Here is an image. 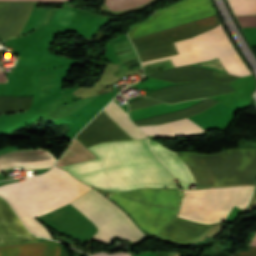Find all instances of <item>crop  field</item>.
Wrapping results in <instances>:
<instances>
[{"label":"crop field","mask_w":256,"mask_h":256,"mask_svg":"<svg viewBox=\"0 0 256 256\" xmlns=\"http://www.w3.org/2000/svg\"><path fill=\"white\" fill-rule=\"evenodd\" d=\"M88 149L98 159L83 161L62 168L76 177L108 169L161 164L150 152L146 140L107 142L96 144L88 147ZM76 178L106 190L123 191L137 187L176 188L163 165L115 169Z\"/></svg>","instance_id":"8a807250"},{"label":"crop field","mask_w":256,"mask_h":256,"mask_svg":"<svg viewBox=\"0 0 256 256\" xmlns=\"http://www.w3.org/2000/svg\"><path fill=\"white\" fill-rule=\"evenodd\" d=\"M148 141L156 157L178 179L183 189H188L189 183L196 182L197 187H204L253 184L255 181L256 149H229L212 154L178 152L190 167L195 182L188 166L177 152Z\"/></svg>","instance_id":"ac0d7876"},{"label":"crop field","mask_w":256,"mask_h":256,"mask_svg":"<svg viewBox=\"0 0 256 256\" xmlns=\"http://www.w3.org/2000/svg\"><path fill=\"white\" fill-rule=\"evenodd\" d=\"M73 180H76V178L54 167L42 175L0 187V195L10 202ZM90 188V186L76 180L10 202V205L31 232L37 236L51 239L52 237L45 227L35 218L72 202Z\"/></svg>","instance_id":"34b2d1b8"},{"label":"crop field","mask_w":256,"mask_h":256,"mask_svg":"<svg viewBox=\"0 0 256 256\" xmlns=\"http://www.w3.org/2000/svg\"><path fill=\"white\" fill-rule=\"evenodd\" d=\"M107 197L122 207L139 227L154 236L165 223L176 216L182 192L144 189L112 192Z\"/></svg>","instance_id":"412701ff"},{"label":"crop field","mask_w":256,"mask_h":256,"mask_svg":"<svg viewBox=\"0 0 256 256\" xmlns=\"http://www.w3.org/2000/svg\"><path fill=\"white\" fill-rule=\"evenodd\" d=\"M179 54L141 63L149 64L171 59L174 67L217 58L226 73L250 75L246 65L224 33L221 24L192 38L174 43Z\"/></svg>","instance_id":"f4fd0767"},{"label":"crop field","mask_w":256,"mask_h":256,"mask_svg":"<svg viewBox=\"0 0 256 256\" xmlns=\"http://www.w3.org/2000/svg\"><path fill=\"white\" fill-rule=\"evenodd\" d=\"M255 186H232L184 191L179 217L201 223L224 221L233 205L246 210Z\"/></svg>","instance_id":"dd49c442"},{"label":"crop field","mask_w":256,"mask_h":256,"mask_svg":"<svg viewBox=\"0 0 256 256\" xmlns=\"http://www.w3.org/2000/svg\"><path fill=\"white\" fill-rule=\"evenodd\" d=\"M71 204L96 225L93 236L99 241L108 243L117 236L136 242L146 237L129 216L94 188Z\"/></svg>","instance_id":"e52e79f7"},{"label":"crop field","mask_w":256,"mask_h":256,"mask_svg":"<svg viewBox=\"0 0 256 256\" xmlns=\"http://www.w3.org/2000/svg\"><path fill=\"white\" fill-rule=\"evenodd\" d=\"M34 2H0V39L18 36ZM76 10L67 8H36L24 33L42 25L67 27ZM23 33V34H24Z\"/></svg>","instance_id":"d8731c3e"},{"label":"crop field","mask_w":256,"mask_h":256,"mask_svg":"<svg viewBox=\"0 0 256 256\" xmlns=\"http://www.w3.org/2000/svg\"><path fill=\"white\" fill-rule=\"evenodd\" d=\"M214 13L209 0H183L131 28L129 36L132 39Z\"/></svg>","instance_id":"5a996713"},{"label":"crop field","mask_w":256,"mask_h":256,"mask_svg":"<svg viewBox=\"0 0 256 256\" xmlns=\"http://www.w3.org/2000/svg\"><path fill=\"white\" fill-rule=\"evenodd\" d=\"M219 24L215 14L132 39L135 50L167 44L204 32Z\"/></svg>","instance_id":"3316defc"},{"label":"crop field","mask_w":256,"mask_h":256,"mask_svg":"<svg viewBox=\"0 0 256 256\" xmlns=\"http://www.w3.org/2000/svg\"><path fill=\"white\" fill-rule=\"evenodd\" d=\"M76 138L86 147L105 141L131 140V138L102 111Z\"/></svg>","instance_id":"28ad6ade"},{"label":"crop field","mask_w":256,"mask_h":256,"mask_svg":"<svg viewBox=\"0 0 256 256\" xmlns=\"http://www.w3.org/2000/svg\"><path fill=\"white\" fill-rule=\"evenodd\" d=\"M44 150H17L2 154L0 155V172L12 167H21L25 170L50 168L56 159Z\"/></svg>","instance_id":"d1516ede"},{"label":"crop field","mask_w":256,"mask_h":256,"mask_svg":"<svg viewBox=\"0 0 256 256\" xmlns=\"http://www.w3.org/2000/svg\"><path fill=\"white\" fill-rule=\"evenodd\" d=\"M35 241L6 201L0 198V245Z\"/></svg>","instance_id":"22f410ed"},{"label":"crop field","mask_w":256,"mask_h":256,"mask_svg":"<svg viewBox=\"0 0 256 256\" xmlns=\"http://www.w3.org/2000/svg\"><path fill=\"white\" fill-rule=\"evenodd\" d=\"M209 227L210 226H202L176 218L173 222L165 225L157 235L173 241L185 243L201 236L209 229Z\"/></svg>","instance_id":"cbeb9de0"},{"label":"crop field","mask_w":256,"mask_h":256,"mask_svg":"<svg viewBox=\"0 0 256 256\" xmlns=\"http://www.w3.org/2000/svg\"><path fill=\"white\" fill-rule=\"evenodd\" d=\"M0 256H59V253L50 241H44L1 246Z\"/></svg>","instance_id":"5142ce71"},{"label":"crop field","mask_w":256,"mask_h":256,"mask_svg":"<svg viewBox=\"0 0 256 256\" xmlns=\"http://www.w3.org/2000/svg\"><path fill=\"white\" fill-rule=\"evenodd\" d=\"M138 128H140L145 135L150 136L190 134L204 131L187 118L166 124Z\"/></svg>","instance_id":"d9b57169"},{"label":"crop field","mask_w":256,"mask_h":256,"mask_svg":"<svg viewBox=\"0 0 256 256\" xmlns=\"http://www.w3.org/2000/svg\"><path fill=\"white\" fill-rule=\"evenodd\" d=\"M132 139L145 138L143 133L136 128L127 116V112L113 100L102 110Z\"/></svg>","instance_id":"733c2abd"},{"label":"crop field","mask_w":256,"mask_h":256,"mask_svg":"<svg viewBox=\"0 0 256 256\" xmlns=\"http://www.w3.org/2000/svg\"><path fill=\"white\" fill-rule=\"evenodd\" d=\"M95 158L96 157L85 146L74 138L58 161L57 166L60 167L63 165Z\"/></svg>","instance_id":"4a817a6b"},{"label":"crop field","mask_w":256,"mask_h":256,"mask_svg":"<svg viewBox=\"0 0 256 256\" xmlns=\"http://www.w3.org/2000/svg\"><path fill=\"white\" fill-rule=\"evenodd\" d=\"M136 52L141 62L178 53L173 43Z\"/></svg>","instance_id":"bc2a9ffb"},{"label":"crop field","mask_w":256,"mask_h":256,"mask_svg":"<svg viewBox=\"0 0 256 256\" xmlns=\"http://www.w3.org/2000/svg\"><path fill=\"white\" fill-rule=\"evenodd\" d=\"M235 15L256 14V0H228Z\"/></svg>","instance_id":"214f88e0"},{"label":"crop field","mask_w":256,"mask_h":256,"mask_svg":"<svg viewBox=\"0 0 256 256\" xmlns=\"http://www.w3.org/2000/svg\"><path fill=\"white\" fill-rule=\"evenodd\" d=\"M147 1L149 0H105L104 3L110 10H123L136 7Z\"/></svg>","instance_id":"92a150f3"},{"label":"crop field","mask_w":256,"mask_h":256,"mask_svg":"<svg viewBox=\"0 0 256 256\" xmlns=\"http://www.w3.org/2000/svg\"><path fill=\"white\" fill-rule=\"evenodd\" d=\"M250 245L256 246V235L253 237ZM234 256H256V248L249 246L246 252H237Z\"/></svg>","instance_id":"dafd665d"},{"label":"crop field","mask_w":256,"mask_h":256,"mask_svg":"<svg viewBox=\"0 0 256 256\" xmlns=\"http://www.w3.org/2000/svg\"><path fill=\"white\" fill-rule=\"evenodd\" d=\"M93 256H130L129 254L127 253H113V254H108V253H105V252H98L96 254H94Z\"/></svg>","instance_id":"00972430"},{"label":"crop field","mask_w":256,"mask_h":256,"mask_svg":"<svg viewBox=\"0 0 256 256\" xmlns=\"http://www.w3.org/2000/svg\"><path fill=\"white\" fill-rule=\"evenodd\" d=\"M15 1H44V2H56V1H67V0H15Z\"/></svg>","instance_id":"a9b5d70f"},{"label":"crop field","mask_w":256,"mask_h":256,"mask_svg":"<svg viewBox=\"0 0 256 256\" xmlns=\"http://www.w3.org/2000/svg\"><path fill=\"white\" fill-rule=\"evenodd\" d=\"M0 71H2V70L0 69Z\"/></svg>","instance_id":"4177f3b9"}]
</instances>
